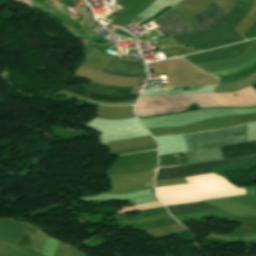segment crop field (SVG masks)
<instances>
[{"label": "crop field", "mask_w": 256, "mask_h": 256, "mask_svg": "<svg viewBox=\"0 0 256 256\" xmlns=\"http://www.w3.org/2000/svg\"><path fill=\"white\" fill-rule=\"evenodd\" d=\"M184 137L188 151L246 142V124L224 130L184 135Z\"/></svg>", "instance_id": "obj_1"}, {"label": "crop field", "mask_w": 256, "mask_h": 256, "mask_svg": "<svg viewBox=\"0 0 256 256\" xmlns=\"http://www.w3.org/2000/svg\"><path fill=\"white\" fill-rule=\"evenodd\" d=\"M256 158V155L233 158L221 161L202 162L174 167L160 168L156 180L186 177L212 172L209 166L249 161Z\"/></svg>", "instance_id": "obj_2"}, {"label": "crop field", "mask_w": 256, "mask_h": 256, "mask_svg": "<svg viewBox=\"0 0 256 256\" xmlns=\"http://www.w3.org/2000/svg\"><path fill=\"white\" fill-rule=\"evenodd\" d=\"M205 72L218 77V84L234 83L256 73V54L243 64L228 68L206 70Z\"/></svg>", "instance_id": "obj_3"}, {"label": "crop field", "mask_w": 256, "mask_h": 256, "mask_svg": "<svg viewBox=\"0 0 256 256\" xmlns=\"http://www.w3.org/2000/svg\"><path fill=\"white\" fill-rule=\"evenodd\" d=\"M157 23L159 28H157L165 37L175 34H181L186 32H191L190 27L182 21L173 11H167L163 16L154 21ZM157 29L155 31L164 37Z\"/></svg>", "instance_id": "obj_4"}, {"label": "crop field", "mask_w": 256, "mask_h": 256, "mask_svg": "<svg viewBox=\"0 0 256 256\" xmlns=\"http://www.w3.org/2000/svg\"><path fill=\"white\" fill-rule=\"evenodd\" d=\"M142 69L143 66L140 63L111 58L101 71L117 75L141 77Z\"/></svg>", "instance_id": "obj_5"}, {"label": "crop field", "mask_w": 256, "mask_h": 256, "mask_svg": "<svg viewBox=\"0 0 256 256\" xmlns=\"http://www.w3.org/2000/svg\"><path fill=\"white\" fill-rule=\"evenodd\" d=\"M227 14V12H225L223 9L213 3L207 8L205 12L193 18L198 24L200 30H204L218 26V24Z\"/></svg>", "instance_id": "obj_6"}, {"label": "crop field", "mask_w": 256, "mask_h": 256, "mask_svg": "<svg viewBox=\"0 0 256 256\" xmlns=\"http://www.w3.org/2000/svg\"><path fill=\"white\" fill-rule=\"evenodd\" d=\"M223 158L256 153V142L220 147Z\"/></svg>", "instance_id": "obj_7"}, {"label": "crop field", "mask_w": 256, "mask_h": 256, "mask_svg": "<svg viewBox=\"0 0 256 256\" xmlns=\"http://www.w3.org/2000/svg\"><path fill=\"white\" fill-rule=\"evenodd\" d=\"M66 90L79 94L81 96H85V97H89L97 100L108 101V102L133 100V99H136L138 96V94H129L125 96L108 97V96L98 95L93 92L86 91L76 87H70V88H67Z\"/></svg>", "instance_id": "obj_8"}, {"label": "crop field", "mask_w": 256, "mask_h": 256, "mask_svg": "<svg viewBox=\"0 0 256 256\" xmlns=\"http://www.w3.org/2000/svg\"><path fill=\"white\" fill-rule=\"evenodd\" d=\"M172 215L193 212V211H201V210H213L217 209L203 201L190 203V204H182V205H174L167 206Z\"/></svg>", "instance_id": "obj_9"}, {"label": "crop field", "mask_w": 256, "mask_h": 256, "mask_svg": "<svg viewBox=\"0 0 256 256\" xmlns=\"http://www.w3.org/2000/svg\"><path fill=\"white\" fill-rule=\"evenodd\" d=\"M187 154L188 163L222 158L219 147L207 150L191 151L187 152Z\"/></svg>", "instance_id": "obj_10"}, {"label": "crop field", "mask_w": 256, "mask_h": 256, "mask_svg": "<svg viewBox=\"0 0 256 256\" xmlns=\"http://www.w3.org/2000/svg\"><path fill=\"white\" fill-rule=\"evenodd\" d=\"M90 91L106 94V95H124L131 93L133 88H119V87H107L96 84H91L88 87H84Z\"/></svg>", "instance_id": "obj_11"}, {"label": "crop field", "mask_w": 256, "mask_h": 256, "mask_svg": "<svg viewBox=\"0 0 256 256\" xmlns=\"http://www.w3.org/2000/svg\"><path fill=\"white\" fill-rule=\"evenodd\" d=\"M36 230V228L28 225L18 244L29 249Z\"/></svg>", "instance_id": "obj_12"}]
</instances>
